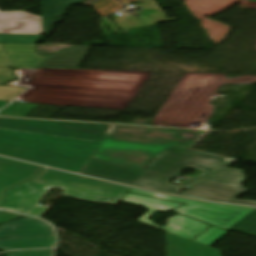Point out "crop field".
Returning a JSON list of instances; mask_svg holds the SVG:
<instances>
[{
  "mask_svg": "<svg viewBox=\"0 0 256 256\" xmlns=\"http://www.w3.org/2000/svg\"><path fill=\"white\" fill-rule=\"evenodd\" d=\"M40 36H21V35H3L0 34V43H23L35 44Z\"/></svg>",
  "mask_w": 256,
  "mask_h": 256,
  "instance_id": "obj_18",
  "label": "crop field"
},
{
  "mask_svg": "<svg viewBox=\"0 0 256 256\" xmlns=\"http://www.w3.org/2000/svg\"><path fill=\"white\" fill-rule=\"evenodd\" d=\"M14 77L10 71V68H1L0 67V84L14 81Z\"/></svg>",
  "mask_w": 256,
  "mask_h": 256,
  "instance_id": "obj_21",
  "label": "crop field"
},
{
  "mask_svg": "<svg viewBox=\"0 0 256 256\" xmlns=\"http://www.w3.org/2000/svg\"><path fill=\"white\" fill-rule=\"evenodd\" d=\"M129 192L184 202L186 203V205L176 208L174 210L181 214L211 223L214 226L222 228L224 230L230 229L232 226H234L236 223H238L241 219H243L254 210L253 208L197 202L134 189H131Z\"/></svg>",
  "mask_w": 256,
  "mask_h": 256,
  "instance_id": "obj_5",
  "label": "crop field"
},
{
  "mask_svg": "<svg viewBox=\"0 0 256 256\" xmlns=\"http://www.w3.org/2000/svg\"><path fill=\"white\" fill-rule=\"evenodd\" d=\"M202 137L192 130L113 126L91 157L148 170L168 147L205 154L192 150Z\"/></svg>",
  "mask_w": 256,
  "mask_h": 256,
  "instance_id": "obj_2",
  "label": "crop field"
},
{
  "mask_svg": "<svg viewBox=\"0 0 256 256\" xmlns=\"http://www.w3.org/2000/svg\"><path fill=\"white\" fill-rule=\"evenodd\" d=\"M7 103H9V102L0 101V109H1L3 106H5Z\"/></svg>",
  "mask_w": 256,
  "mask_h": 256,
  "instance_id": "obj_24",
  "label": "crop field"
},
{
  "mask_svg": "<svg viewBox=\"0 0 256 256\" xmlns=\"http://www.w3.org/2000/svg\"><path fill=\"white\" fill-rule=\"evenodd\" d=\"M249 1H256V0H249Z\"/></svg>",
  "mask_w": 256,
  "mask_h": 256,
  "instance_id": "obj_26",
  "label": "crop field"
},
{
  "mask_svg": "<svg viewBox=\"0 0 256 256\" xmlns=\"http://www.w3.org/2000/svg\"><path fill=\"white\" fill-rule=\"evenodd\" d=\"M39 105L33 104H22V103H13L5 110L0 112L2 116H16V117H23L33 109H35Z\"/></svg>",
  "mask_w": 256,
  "mask_h": 256,
  "instance_id": "obj_15",
  "label": "crop field"
},
{
  "mask_svg": "<svg viewBox=\"0 0 256 256\" xmlns=\"http://www.w3.org/2000/svg\"><path fill=\"white\" fill-rule=\"evenodd\" d=\"M227 233V231L212 226L199 237H197L194 241L211 246Z\"/></svg>",
  "mask_w": 256,
  "mask_h": 256,
  "instance_id": "obj_17",
  "label": "crop field"
},
{
  "mask_svg": "<svg viewBox=\"0 0 256 256\" xmlns=\"http://www.w3.org/2000/svg\"><path fill=\"white\" fill-rule=\"evenodd\" d=\"M91 46H79L48 56L39 67L80 68Z\"/></svg>",
  "mask_w": 256,
  "mask_h": 256,
  "instance_id": "obj_11",
  "label": "crop field"
},
{
  "mask_svg": "<svg viewBox=\"0 0 256 256\" xmlns=\"http://www.w3.org/2000/svg\"><path fill=\"white\" fill-rule=\"evenodd\" d=\"M125 203L141 205L148 208L150 211L145 214L138 222L165 230L167 232L180 235L186 238H193L198 233L206 229L209 225L197 222L195 220L177 215L173 218L168 219L167 226L165 228L158 227L153 224V222L147 220L152 214H154L157 210L166 211L171 208L177 207L182 204L167 202L163 200L136 196L126 194L122 199Z\"/></svg>",
  "mask_w": 256,
  "mask_h": 256,
  "instance_id": "obj_6",
  "label": "crop field"
},
{
  "mask_svg": "<svg viewBox=\"0 0 256 256\" xmlns=\"http://www.w3.org/2000/svg\"><path fill=\"white\" fill-rule=\"evenodd\" d=\"M20 217H24V216H20V215H16V214H12V213H8V212H4V211H0V224L20 218Z\"/></svg>",
  "mask_w": 256,
  "mask_h": 256,
  "instance_id": "obj_22",
  "label": "crop field"
},
{
  "mask_svg": "<svg viewBox=\"0 0 256 256\" xmlns=\"http://www.w3.org/2000/svg\"><path fill=\"white\" fill-rule=\"evenodd\" d=\"M0 33L41 35L43 34L41 17L23 11H0Z\"/></svg>",
  "mask_w": 256,
  "mask_h": 256,
  "instance_id": "obj_7",
  "label": "crop field"
},
{
  "mask_svg": "<svg viewBox=\"0 0 256 256\" xmlns=\"http://www.w3.org/2000/svg\"><path fill=\"white\" fill-rule=\"evenodd\" d=\"M231 230H235V231H239V232H243V233H247V234L256 236V210L253 211L251 214H249L242 221H240L233 228H231Z\"/></svg>",
  "mask_w": 256,
  "mask_h": 256,
  "instance_id": "obj_16",
  "label": "crop field"
},
{
  "mask_svg": "<svg viewBox=\"0 0 256 256\" xmlns=\"http://www.w3.org/2000/svg\"><path fill=\"white\" fill-rule=\"evenodd\" d=\"M35 47L36 45L5 44L13 67L36 68L46 57H39L34 51Z\"/></svg>",
  "mask_w": 256,
  "mask_h": 256,
  "instance_id": "obj_13",
  "label": "crop field"
},
{
  "mask_svg": "<svg viewBox=\"0 0 256 256\" xmlns=\"http://www.w3.org/2000/svg\"><path fill=\"white\" fill-rule=\"evenodd\" d=\"M52 250H36L24 252H10L8 256H51Z\"/></svg>",
  "mask_w": 256,
  "mask_h": 256,
  "instance_id": "obj_20",
  "label": "crop field"
},
{
  "mask_svg": "<svg viewBox=\"0 0 256 256\" xmlns=\"http://www.w3.org/2000/svg\"><path fill=\"white\" fill-rule=\"evenodd\" d=\"M61 188V194L83 201L117 205L129 188L45 168L34 179L6 192L1 209L41 217L50 207L38 206L48 190ZM121 201V200H120Z\"/></svg>",
  "mask_w": 256,
  "mask_h": 256,
  "instance_id": "obj_3",
  "label": "crop field"
},
{
  "mask_svg": "<svg viewBox=\"0 0 256 256\" xmlns=\"http://www.w3.org/2000/svg\"><path fill=\"white\" fill-rule=\"evenodd\" d=\"M244 181V171L227 168L180 193V195L209 201L256 205V201L235 199L249 191L242 187Z\"/></svg>",
  "mask_w": 256,
  "mask_h": 256,
  "instance_id": "obj_4",
  "label": "crop field"
},
{
  "mask_svg": "<svg viewBox=\"0 0 256 256\" xmlns=\"http://www.w3.org/2000/svg\"><path fill=\"white\" fill-rule=\"evenodd\" d=\"M112 126L0 118V154L135 187L175 194L169 183L187 166L203 173L189 188L231 164L221 157L168 148L148 171L89 158Z\"/></svg>",
  "mask_w": 256,
  "mask_h": 256,
  "instance_id": "obj_1",
  "label": "crop field"
},
{
  "mask_svg": "<svg viewBox=\"0 0 256 256\" xmlns=\"http://www.w3.org/2000/svg\"><path fill=\"white\" fill-rule=\"evenodd\" d=\"M54 235L49 224L25 217L0 226V238L39 237Z\"/></svg>",
  "mask_w": 256,
  "mask_h": 256,
  "instance_id": "obj_9",
  "label": "crop field"
},
{
  "mask_svg": "<svg viewBox=\"0 0 256 256\" xmlns=\"http://www.w3.org/2000/svg\"><path fill=\"white\" fill-rule=\"evenodd\" d=\"M168 256H179V254H168Z\"/></svg>",
  "mask_w": 256,
  "mask_h": 256,
  "instance_id": "obj_25",
  "label": "crop field"
},
{
  "mask_svg": "<svg viewBox=\"0 0 256 256\" xmlns=\"http://www.w3.org/2000/svg\"><path fill=\"white\" fill-rule=\"evenodd\" d=\"M42 167L0 157V203L3 191L28 179L33 178Z\"/></svg>",
  "mask_w": 256,
  "mask_h": 256,
  "instance_id": "obj_8",
  "label": "crop field"
},
{
  "mask_svg": "<svg viewBox=\"0 0 256 256\" xmlns=\"http://www.w3.org/2000/svg\"><path fill=\"white\" fill-rule=\"evenodd\" d=\"M54 245L55 237L0 240V249L3 251L53 247Z\"/></svg>",
  "mask_w": 256,
  "mask_h": 256,
  "instance_id": "obj_14",
  "label": "crop field"
},
{
  "mask_svg": "<svg viewBox=\"0 0 256 256\" xmlns=\"http://www.w3.org/2000/svg\"><path fill=\"white\" fill-rule=\"evenodd\" d=\"M84 0H41L45 33L39 43L50 36L56 23L63 22V16L67 15L73 4H81Z\"/></svg>",
  "mask_w": 256,
  "mask_h": 256,
  "instance_id": "obj_10",
  "label": "crop field"
},
{
  "mask_svg": "<svg viewBox=\"0 0 256 256\" xmlns=\"http://www.w3.org/2000/svg\"><path fill=\"white\" fill-rule=\"evenodd\" d=\"M0 66L1 67H10V59L4 53L2 45L0 44Z\"/></svg>",
  "mask_w": 256,
  "mask_h": 256,
  "instance_id": "obj_23",
  "label": "crop field"
},
{
  "mask_svg": "<svg viewBox=\"0 0 256 256\" xmlns=\"http://www.w3.org/2000/svg\"><path fill=\"white\" fill-rule=\"evenodd\" d=\"M28 89L0 86V100L11 101Z\"/></svg>",
  "mask_w": 256,
  "mask_h": 256,
  "instance_id": "obj_19",
  "label": "crop field"
},
{
  "mask_svg": "<svg viewBox=\"0 0 256 256\" xmlns=\"http://www.w3.org/2000/svg\"><path fill=\"white\" fill-rule=\"evenodd\" d=\"M167 253H180V256H220L218 250L170 233L167 234Z\"/></svg>",
  "mask_w": 256,
  "mask_h": 256,
  "instance_id": "obj_12",
  "label": "crop field"
}]
</instances>
